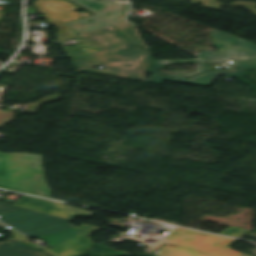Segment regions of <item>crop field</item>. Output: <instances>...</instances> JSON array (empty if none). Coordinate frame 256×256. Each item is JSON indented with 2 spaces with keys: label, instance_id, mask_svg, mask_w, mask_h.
Wrapping results in <instances>:
<instances>
[{
  "label": "crop field",
  "instance_id": "obj_1",
  "mask_svg": "<svg viewBox=\"0 0 256 256\" xmlns=\"http://www.w3.org/2000/svg\"><path fill=\"white\" fill-rule=\"evenodd\" d=\"M134 44L145 46L136 26L125 22L114 25ZM105 49L97 54L71 60L76 71L143 82L152 62L151 52L132 45L112 26L82 35ZM105 66L107 71L92 68Z\"/></svg>",
  "mask_w": 256,
  "mask_h": 256
},
{
  "label": "crop field",
  "instance_id": "obj_2",
  "mask_svg": "<svg viewBox=\"0 0 256 256\" xmlns=\"http://www.w3.org/2000/svg\"><path fill=\"white\" fill-rule=\"evenodd\" d=\"M42 155L0 153V187L52 199Z\"/></svg>",
  "mask_w": 256,
  "mask_h": 256
},
{
  "label": "crop field",
  "instance_id": "obj_3",
  "mask_svg": "<svg viewBox=\"0 0 256 256\" xmlns=\"http://www.w3.org/2000/svg\"><path fill=\"white\" fill-rule=\"evenodd\" d=\"M237 240L216 235L193 232L181 228L174 229L159 243L151 245L147 252L154 256H249L230 250V246ZM171 243L177 247L168 246Z\"/></svg>",
  "mask_w": 256,
  "mask_h": 256
},
{
  "label": "crop field",
  "instance_id": "obj_4",
  "mask_svg": "<svg viewBox=\"0 0 256 256\" xmlns=\"http://www.w3.org/2000/svg\"><path fill=\"white\" fill-rule=\"evenodd\" d=\"M1 217V221L32 238L73 227L68 224L71 222L69 220L26 209L1 215Z\"/></svg>",
  "mask_w": 256,
  "mask_h": 256
},
{
  "label": "crop field",
  "instance_id": "obj_5",
  "mask_svg": "<svg viewBox=\"0 0 256 256\" xmlns=\"http://www.w3.org/2000/svg\"><path fill=\"white\" fill-rule=\"evenodd\" d=\"M33 3L48 23L59 29L58 41L78 36L65 23L91 15L88 12L79 14L76 11L80 7L66 0H36Z\"/></svg>",
  "mask_w": 256,
  "mask_h": 256
},
{
  "label": "crop field",
  "instance_id": "obj_6",
  "mask_svg": "<svg viewBox=\"0 0 256 256\" xmlns=\"http://www.w3.org/2000/svg\"><path fill=\"white\" fill-rule=\"evenodd\" d=\"M216 47L221 51H202L198 53L199 58L206 62H218L229 59H242L256 56V45L237 37L225 34L221 31L211 32ZM237 44L239 46H233Z\"/></svg>",
  "mask_w": 256,
  "mask_h": 256
},
{
  "label": "crop field",
  "instance_id": "obj_7",
  "mask_svg": "<svg viewBox=\"0 0 256 256\" xmlns=\"http://www.w3.org/2000/svg\"><path fill=\"white\" fill-rule=\"evenodd\" d=\"M14 206L40 211L62 218L73 220L75 217H90L93 213L71 208L67 205L36 199L34 197L22 195Z\"/></svg>",
  "mask_w": 256,
  "mask_h": 256
},
{
  "label": "crop field",
  "instance_id": "obj_8",
  "mask_svg": "<svg viewBox=\"0 0 256 256\" xmlns=\"http://www.w3.org/2000/svg\"><path fill=\"white\" fill-rule=\"evenodd\" d=\"M88 11L99 16L108 23L123 21L128 6L125 4L101 0H71Z\"/></svg>",
  "mask_w": 256,
  "mask_h": 256
},
{
  "label": "crop field",
  "instance_id": "obj_9",
  "mask_svg": "<svg viewBox=\"0 0 256 256\" xmlns=\"http://www.w3.org/2000/svg\"><path fill=\"white\" fill-rule=\"evenodd\" d=\"M100 229L101 228L91 230L44 252H48L53 256H77L92 244L89 239L90 233Z\"/></svg>",
  "mask_w": 256,
  "mask_h": 256
},
{
  "label": "crop field",
  "instance_id": "obj_10",
  "mask_svg": "<svg viewBox=\"0 0 256 256\" xmlns=\"http://www.w3.org/2000/svg\"><path fill=\"white\" fill-rule=\"evenodd\" d=\"M246 74L247 73L243 70H236V71L223 70V71H210L208 73L202 74L200 76L194 77L189 80L152 75L150 80H145V81L161 84L163 80H167V81H175V82L209 86L213 82L214 78L218 75H228L231 77H235V76H241Z\"/></svg>",
  "mask_w": 256,
  "mask_h": 256
},
{
  "label": "crop field",
  "instance_id": "obj_11",
  "mask_svg": "<svg viewBox=\"0 0 256 256\" xmlns=\"http://www.w3.org/2000/svg\"><path fill=\"white\" fill-rule=\"evenodd\" d=\"M183 63H200L199 68L194 73H186L179 71L175 75L172 74H166V73H160L156 72L161 67L167 65V64H183ZM209 65L199 61V60H154L150 70L148 73L150 74H157V75H163V76H170V77H179V78H187L190 76H194L203 72L210 71Z\"/></svg>",
  "mask_w": 256,
  "mask_h": 256
},
{
  "label": "crop field",
  "instance_id": "obj_12",
  "mask_svg": "<svg viewBox=\"0 0 256 256\" xmlns=\"http://www.w3.org/2000/svg\"><path fill=\"white\" fill-rule=\"evenodd\" d=\"M9 240V239H8ZM7 241V240H6ZM0 256H48L33 248L22 245L11 239L7 242H0Z\"/></svg>",
  "mask_w": 256,
  "mask_h": 256
},
{
  "label": "crop field",
  "instance_id": "obj_13",
  "mask_svg": "<svg viewBox=\"0 0 256 256\" xmlns=\"http://www.w3.org/2000/svg\"><path fill=\"white\" fill-rule=\"evenodd\" d=\"M94 228H97V227H93V226H90V225H86V224H83L81 226H78V227H73V228H70V229H66V230H63V231H60V232H57V233H53V234H50V235H47V236H44V237H40V238H37V239H41L43 241H45L46 243L49 244L50 247L56 245V244H59L63 241H66L70 238H73L77 235H80L84 232H87L91 229H94Z\"/></svg>",
  "mask_w": 256,
  "mask_h": 256
},
{
  "label": "crop field",
  "instance_id": "obj_14",
  "mask_svg": "<svg viewBox=\"0 0 256 256\" xmlns=\"http://www.w3.org/2000/svg\"><path fill=\"white\" fill-rule=\"evenodd\" d=\"M78 41H80V44L65 47L64 50L68 54L69 58H77L93 53H97L99 51H102L101 49L97 48L96 46L88 43L87 41L81 39V38H76Z\"/></svg>",
  "mask_w": 256,
  "mask_h": 256
},
{
  "label": "crop field",
  "instance_id": "obj_15",
  "mask_svg": "<svg viewBox=\"0 0 256 256\" xmlns=\"http://www.w3.org/2000/svg\"><path fill=\"white\" fill-rule=\"evenodd\" d=\"M88 19H92L94 22L90 23L87 21ZM67 25L70 26L74 31H76L79 34V33L89 31V30L99 28L109 24L103 21L102 19L98 18L97 16L92 15L87 18H83L77 21L67 23Z\"/></svg>",
  "mask_w": 256,
  "mask_h": 256
},
{
  "label": "crop field",
  "instance_id": "obj_16",
  "mask_svg": "<svg viewBox=\"0 0 256 256\" xmlns=\"http://www.w3.org/2000/svg\"><path fill=\"white\" fill-rule=\"evenodd\" d=\"M194 5H197L198 2L204 5L205 8L221 11V4L215 0H192ZM228 6H244L245 9L256 16V3L247 2V1H235Z\"/></svg>",
  "mask_w": 256,
  "mask_h": 256
},
{
  "label": "crop field",
  "instance_id": "obj_17",
  "mask_svg": "<svg viewBox=\"0 0 256 256\" xmlns=\"http://www.w3.org/2000/svg\"><path fill=\"white\" fill-rule=\"evenodd\" d=\"M59 99H61L60 93L48 95V96L44 97L40 103L31 105L29 107L28 113L36 114V112L38 111V109L41 107L42 104L54 102V101H57Z\"/></svg>",
  "mask_w": 256,
  "mask_h": 256
},
{
  "label": "crop field",
  "instance_id": "obj_18",
  "mask_svg": "<svg viewBox=\"0 0 256 256\" xmlns=\"http://www.w3.org/2000/svg\"><path fill=\"white\" fill-rule=\"evenodd\" d=\"M248 232H250V230L234 227V228H229L226 231L222 232L221 235L240 238L245 234H247Z\"/></svg>",
  "mask_w": 256,
  "mask_h": 256
},
{
  "label": "crop field",
  "instance_id": "obj_19",
  "mask_svg": "<svg viewBox=\"0 0 256 256\" xmlns=\"http://www.w3.org/2000/svg\"><path fill=\"white\" fill-rule=\"evenodd\" d=\"M237 68H255L256 58L235 61Z\"/></svg>",
  "mask_w": 256,
  "mask_h": 256
},
{
  "label": "crop field",
  "instance_id": "obj_20",
  "mask_svg": "<svg viewBox=\"0 0 256 256\" xmlns=\"http://www.w3.org/2000/svg\"><path fill=\"white\" fill-rule=\"evenodd\" d=\"M18 209H22V208L14 207L12 205L0 202V215L11 212V211H15V210H18Z\"/></svg>",
  "mask_w": 256,
  "mask_h": 256
},
{
  "label": "crop field",
  "instance_id": "obj_21",
  "mask_svg": "<svg viewBox=\"0 0 256 256\" xmlns=\"http://www.w3.org/2000/svg\"><path fill=\"white\" fill-rule=\"evenodd\" d=\"M0 118L4 119H14L15 118V112H4L0 109Z\"/></svg>",
  "mask_w": 256,
  "mask_h": 256
},
{
  "label": "crop field",
  "instance_id": "obj_22",
  "mask_svg": "<svg viewBox=\"0 0 256 256\" xmlns=\"http://www.w3.org/2000/svg\"><path fill=\"white\" fill-rule=\"evenodd\" d=\"M11 232H12V233L15 235V237H16L19 241H21V242H24V241L28 240V238L22 236L21 234L15 232V231H13V230H11Z\"/></svg>",
  "mask_w": 256,
  "mask_h": 256
},
{
  "label": "crop field",
  "instance_id": "obj_23",
  "mask_svg": "<svg viewBox=\"0 0 256 256\" xmlns=\"http://www.w3.org/2000/svg\"><path fill=\"white\" fill-rule=\"evenodd\" d=\"M13 120H3L0 119V128H2L4 125H6L7 123L12 122Z\"/></svg>",
  "mask_w": 256,
  "mask_h": 256
},
{
  "label": "crop field",
  "instance_id": "obj_24",
  "mask_svg": "<svg viewBox=\"0 0 256 256\" xmlns=\"http://www.w3.org/2000/svg\"><path fill=\"white\" fill-rule=\"evenodd\" d=\"M4 13H5V11H0V21L2 20Z\"/></svg>",
  "mask_w": 256,
  "mask_h": 256
},
{
  "label": "crop field",
  "instance_id": "obj_25",
  "mask_svg": "<svg viewBox=\"0 0 256 256\" xmlns=\"http://www.w3.org/2000/svg\"><path fill=\"white\" fill-rule=\"evenodd\" d=\"M0 227H1V228H4V227H7V226L4 225V224H2V223H0Z\"/></svg>",
  "mask_w": 256,
  "mask_h": 256
},
{
  "label": "crop field",
  "instance_id": "obj_26",
  "mask_svg": "<svg viewBox=\"0 0 256 256\" xmlns=\"http://www.w3.org/2000/svg\"><path fill=\"white\" fill-rule=\"evenodd\" d=\"M86 40V39H85ZM88 41V40H87ZM88 42H90V41H88ZM90 43H92V42H90ZM93 44V43H92Z\"/></svg>",
  "mask_w": 256,
  "mask_h": 256
}]
</instances>
